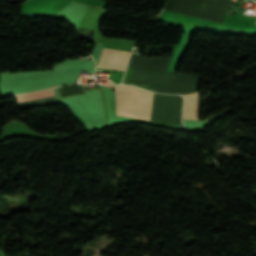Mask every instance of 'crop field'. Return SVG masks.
<instances>
[{"label": "crop field", "instance_id": "ac0d7876", "mask_svg": "<svg viewBox=\"0 0 256 256\" xmlns=\"http://www.w3.org/2000/svg\"><path fill=\"white\" fill-rule=\"evenodd\" d=\"M130 52L103 49L97 67L124 71Z\"/></svg>", "mask_w": 256, "mask_h": 256}, {"label": "crop field", "instance_id": "8a807250", "mask_svg": "<svg viewBox=\"0 0 256 256\" xmlns=\"http://www.w3.org/2000/svg\"><path fill=\"white\" fill-rule=\"evenodd\" d=\"M117 115L150 120L153 93L132 86H115Z\"/></svg>", "mask_w": 256, "mask_h": 256}, {"label": "crop field", "instance_id": "412701ff", "mask_svg": "<svg viewBox=\"0 0 256 256\" xmlns=\"http://www.w3.org/2000/svg\"><path fill=\"white\" fill-rule=\"evenodd\" d=\"M53 90H44V91H39V92H34L30 94H24V95H18L16 96L17 101H26V100H31V99H37V98H42V97H47V96H53Z\"/></svg>", "mask_w": 256, "mask_h": 256}, {"label": "crop field", "instance_id": "34b2d1b8", "mask_svg": "<svg viewBox=\"0 0 256 256\" xmlns=\"http://www.w3.org/2000/svg\"><path fill=\"white\" fill-rule=\"evenodd\" d=\"M198 93L185 96L184 119H197Z\"/></svg>", "mask_w": 256, "mask_h": 256}, {"label": "crop field", "instance_id": "f4fd0767", "mask_svg": "<svg viewBox=\"0 0 256 256\" xmlns=\"http://www.w3.org/2000/svg\"><path fill=\"white\" fill-rule=\"evenodd\" d=\"M255 25H256V22H255Z\"/></svg>", "mask_w": 256, "mask_h": 256}]
</instances>
